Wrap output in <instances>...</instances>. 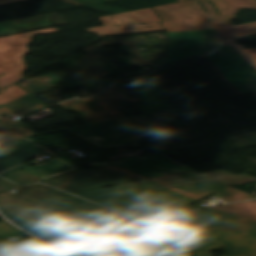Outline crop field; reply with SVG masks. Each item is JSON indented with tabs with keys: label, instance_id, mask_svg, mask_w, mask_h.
Returning a JSON list of instances; mask_svg holds the SVG:
<instances>
[{
	"label": "crop field",
	"instance_id": "obj_12",
	"mask_svg": "<svg viewBox=\"0 0 256 256\" xmlns=\"http://www.w3.org/2000/svg\"><path fill=\"white\" fill-rule=\"evenodd\" d=\"M121 90L120 87H113L102 93L97 99L103 106L105 111L86 114L87 123H95L123 117L121 112H116L115 109L121 108L117 102L126 101L127 103L142 102L140 98L129 99L125 94L120 95L116 91Z\"/></svg>",
	"mask_w": 256,
	"mask_h": 256
},
{
	"label": "crop field",
	"instance_id": "obj_13",
	"mask_svg": "<svg viewBox=\"0 0 256 256\" xmlns=\"http://www.w3.org/2000/svg\"><path fill=\"white\" fill-rule=\"evenodd\" d=\"M74 169L77 168L58 156L54 159L47 160L41 164L34 165L25 170L33 173L42 180H45L72 171Z\"/></svg>",
	"mask_w": 256,
	"mask_h": 256
},
{
	"label": "crop field",
	"instance_id": "obj_1",
	"mask_svg": "<svg viewBox=\"0 0 256 256\" xmlns=\"http://www.w3.org/2000/svg\"><path fill=\"white\" fill-rule=\"evenodd\" d=\"M0 210L12 222L43 240L109 229L141 221L41 184L0 194Z\"/></svg>",
	"mask_w": 256,
	"mask_h": 256
},
{
	"label": "crop field",
	"instance_id": "obj_2",
	"mask_svg": "<svg viewBox=\"0 0 256 256\" xmlns=\"http://www.w3.org/2000/svg\"><path fill=\"white\" fill-rule=\"evenodd\" d=\"M177 229L155 234L192 239L196 256H211L212 248L227 247L226 256H256V201L198 210L153 220Z\"/></svg>",
	"mask_w": 256,
	"mask_h": 256
},
{
	"label": "crop field",
	"instance_id": "obj_14",
	"mask_svg": "<svg viewBox=\"0 0 256 256\" xmlns=\"http://www.w3.org/2000/svg\"><path fill=\"white\" fill-rule=\"evenodd\" d=\"M49 14L0 23V35L49 26Z\"/></svg>",
	"mask_w": 256,
	"mask_h": 256
},
{
	"label": "crop field",
	"instance_id": "obj_20",
	"mask_svg": "<svg viewBox=\"0 0 256 256\" xmlns=\"http://www.w3.org/2000/svg\"><path fill=\"white\" fill-rule=\"evenodd\" d=\"M49 77L44 76L42 78H36L33 80H28L20 84L24 89L30 92L32 95H39L54 86L48 83Z\"/></svg>",
	"mask_w": 256,
	"mask_h": 256
},
{
	"label": "crop field",
	"instance_id": "obj_6",
	"mask_svg": "<svg viewBox=\"0 0 256 256\" xmlns=\"http://www.w3.org/2000/svg\"><path fill=\"white\" fill-rule=\"evenodd\" d=\"M168 35L174 44L169 49V58L159 61L162 67L178 60L206 54L224 42L223 37L215 29L168 33ZM133 65L150 64L147 62Z\"/></svg>",
	"mask_w": 256,
	"mask_h": 256
},
{
	"label": "crop field",
	"instance_id": "obj_3",
	"mask_svg": "<svg viewBox=\"0 0 256 256\" xmlns=\"http://www.w3.org/2000/svg\"><path fill=\"white\" fill-rule=\"evenodd\" d=\"M213 193L233 201L256 198L232 187L211 181L98 203L137 218H152L196 209L190 204Z\"/></svg>",
	"mask_w": 256,
	"mask_h": 256
},
{
	"label": "crop field",
	"instance_id": "obj_23",
	"mask_svg": "<svg viewBox=\"0 0 256 256\" xmlns=\"http://www.w3.org/2000/svg\"><path fill=\"white\" fill-rule=\"evenodd\" d=\"M95 101L94 99H87V100H77V101H70L63 105H61L63 108L66 109V111L69 112H78L80 114L85 112L94 111L92 108H90L86 103Z\"/></svg>",
	"mask_w": 256,
	"mask_h": 256
},
{
	"label": "crop field",
	"instance_id": "obj_7",
	"mask_svg": "<svg viewBox=\"0 0 256 256\" xmlns=\"http://www.w3.org/2000/svg\"><path fill=\"white\" fill-rule=\"evenodd\" d=\"M207 57L242 94L256 91V70L228 42Z\"/></svg>",
	"mask_w": 256,
	"mask_h": 256
},
{
	"label": "crop field",
	"instance_id": "obj_33",
	"mask_svg": "<svg viewBox=\"0 0 256 256\" xmlns=\"http://www.w3.org/2000/svg\"><path fill=\"white\" fill-rule=\"evenodd\" d=\"M105 1L107 2V1H110V0H105Z\"/></svg>",
	"mask_w": 256,
	"mask_h": 256
},
{
	"label": "crop field",
	"instance_id": "obj_28",
	"mask_svg": "<svg viewBox=\"0 0 256 256\" xmlns=\"http://www.w3.org/2000/svg\"><path fill=\"white\" fill-rule=\"evenodd\" d=\"M17 187H19V186L0 178V191L1 190H11V189H15Z\"/></svg>",
	"mask_w": 256,
	"mask_h": 256
},
{
	"label": "crop field",
	"instance_id": "obj_8",
	"mask_svg": "<svg viewBox=\"0 0 256 256\" xmlns=\"http://www.w3.org/2000/svg\"><path fill=\"white\" fill-rule=\"evenodd\" d=\"M146 41L147 39L145 36L102 39L103 45H92L81 50L89 54L81 58V61L86 69L87 75H93L97 92H99L102 88L101 82L99 81L100 78L109 73L101 46L122 44L124 54L129 56L130 63H138L145 61L142 59V54L137 46V43Z\"/></svg>",
	"mask_w": 256,
	"mask_h": 256
},
{
	"label": "crop field",
	"instance_id": "obj_11",
	"mask_svg": "<svg viewBox=\"0 0 256 256\" xmlns=\"http://www.w3.org/2000/svg\"><path fill=\"white\" fill-rule=\"evenodd\" d=\"M135 80L140 98L144 103V105L139 106L143 114L173 107L160 96L155 84L161 83V81L155 73L136 78Z\"/></svg>",
	"mask_w": 256,
	"mask_h": 256
},
{
	"label": "crop field",
	"instance_id": "obj_17",
	"mask_svg": "<svg viewBox=\"0 0 256 256\" xmlns=\"http://www.w3.org/2000/svg\"><path fill=\"white\" fill-rule=\"evenodd\" d=\"M42 153L47 154L52 158L57 156L56 154L48 151V149L34 144L5 160L3 159L4 161L0 162V172L6 171L19 164H22Z\"/></svg>",
	"mask_w": 256,
	"mask_h": 256
},
{
	"label": "crop field",
	"instance_id": "obj_4",
	"mask_svg": "<svg viewBox=\"0 0 256 256\" xmlns=\"http://www.w3.org/2000/svg\"><path fill=\"white\" fill-rule=\"evenodd\" d=\"M180 113L179 109L155 111L70 130L99 147L140 145L144 137L163 132Z\"/></svg>",
	"mask_w": 256,
	"mask_h": 256
},
{
	"label": "crop field",
	"instance_id": "obj_16",
	"mask_svg": "<svg viewBox=\"0 0 256 256\" xmlns=\"http://www.w3.org/2000/svg\"><path fill=\"white\" fill-rule=\"evenodd\" d=\"M105 237L102 235H80L73 240L54 242L53 244L86 256L88 252L100 245Z\"/></svg>",
	"mask_w": 256,
	"mask_h": 256
},
{
	"label": "crop field",
	"instance_id": "obj_22",
	"mask_svg": "<svg viewBox=\"0 0 256 256\" xmlns=\"http://www.w3.org/2000/svg\"><path fill=\"white\" fill-rule=\"evenodd\" d=\"M33 143L27 139H19L7 143L0 144V157L3 158L29 144Z\"/></svg>",
	"mask_w": 256,
	"mask_h": 256
},
{
	"label": "crop field",
	"instance_id": "obj_25",
	"mask_svg": "<svg viewBox=\"0 0 256 256\" xmlns=\"http://www.w3.org/2000/svg\"><path fill=\"white\" fill-rule=\"evenodd\" d=\"M111 228L132 236L144 233L135 223L115 226Z\"/></svg>",
	"mask_w": 256,
	"mask_h": 256
},
{
	"label": "crop field",
	"instance_id": "obj_26",
	"mask_svg": "<svg viewBox=\"0 0 256 256\" xmlns=\"http://www.w3.org/2000/svg\"><path fill=\"white\" fill-rule=\"evenodd\" d=\"M6 255H26V252H24L17 246L0 248V256Z\"/></svg>",
	"mask_w": 256,
	"mask_h": 256
},
{
	"label": "crop field",
	"instance_id": "obj_24",
	"mask_svg": "<svg viewBox=\"0 0 256 256\" xmlns=\"http://www.w3.org/2000/svg\"><path fill=\"white\" fill-rule=\"evenodd\" d=\"M33 249L35 251H38L39 254H43V255H56V256H73V255H69V254H66L60 250H57V249H53L47 245H43V244H40V243H31L30 244Z\"/></svg>",
	"mask_w": 256,
	"mask_h": 256
},
{
	"label": "crop field",
	"instance_id": "obj_10",
	"mask_svg": "<svg viewBox=\"0 0 256 256\" xmlns=\"http://www.w3.org/2000/svg\"><path fill=\"white\" fill-rule=\"evenodd\" d=\"M190 240L186 237L149 236L116 254L120 256H190Z\"/></svg>",
	"mask_w": 256,
	"mask_h": 256
},
{
	"label": "crop field",
	"instance_id": "obj_19",
	"mask_svg": "<svg viewBox=\"0 0 256 256\" xmlns=\"http://www.w3.org/2000/svg\"><path fill=\"white\" fill-rule=\"evenodd\" d=\"M147 236H149V234H144L136 237L110 236V237H107L99 247L107 249L109 253L112 254Z\"/></svg>",
	"mask_w": 256,
	"mask_h": 256
},
{
	"label": "crop field",
	"instance_id": "obj_9",
	"mask_svg": "<svg viewBox=\"0 0 256 256\" xmlns=\"http://www.w3.org/2000/svg\"><path fill=\"white\" fill-rule=\"evenodd\" d=\"M88 165L92 169L115 165L149 178L191 170L160 154H150L112 162H95Z\"/></svg>",
	"mask_w": 256,
	"mask_h": 256
},
{
	"label": "crop field",
	"instance_id": "obj_5",
	"mask_svg": "<svg viewBox=\"0 0 256 256\" xmlns=\"http://www.w3.org/2000/svg\"><path fill=\"white\" fill-rule=\"evenodd\" d=\"M142 179L148 178L111 166L90 171L82 168L43 183L75 193Z\"/></svg>",
	"mask_w": 256,
	"mask_h": 256
},
{
	"label": "crop field",
	"instance_id": "obj_21",
	"mask_svg": "<svg viewBox=\"0 0 256 256\" xmlns=\"http://www.w3.org/2000/svg\"><path fill=\"white\" fill-rule=\"evenodd\" d=\"M75 194L80 197L87 198L93 202L120 196L113 188H104V189L75 193Z\"/></svg>",
	"mask_w": 256,
	"mask_h": 256
},
{
	"label": "crop field",
	"instance_id": "obj_27",
	"mask_svg": "<svg viewBox=\"0 0 256 256\" xmlns=\"http://www.w3.org/2000/svg\"><path fill=\"white\" fill-rule=\"evenodd\" d=\"M22 233L13 227L9 226L5 222H0V235L18 234Z\"/></svg>",
	"mask_w": 256,
	"mask_h": 256
},
{
	"label": "crop field",
	"instance_id": "obj_30",
	"mask_svg": "<svg viewBox=\"0 0 256 256\" xmlns=\"http://www.w3.org/2000/svg\"><path fill=\"white\" fill-rule=\"evenodd\" d=\"M37 180H40V179L31 174V175H29L25 178H22L20 180L15 181V182H17L21 185H24V184H27V183H30V182H33V181H37Z\"/></svg>",
	"mask_w": 256,
	"mask_h": 256
},
{
	"label": "crop field",
	"instance_id": "obj_15",
	"mask_svg": "<svg viewBox=\"0 0 256 256\" xmlns=\"http://www.w3.org/2000/svg\"><path fill=\"white\" fill-rule=\"evenodd\" d=\"M44 108L46 106L29 94L8 104L1 105L0 116L5 114L28 115Z\"/></svg>",
	"mask_w": 256,
	"mask_h": 256
},
{
	"label": "crop field",
	"instance_id": "obj_32",
	"mask_svg": "<svg viewBox=\"0 0 256 256\" xmlns=\"http://www.w3.org/2000/svg\"><path fill=\"white\" fill-rule=\"evenodd\" d=\"M78 236V235H77ZM76 236H71V237H65V238H60V239H54V240H47V242H54V241H66L74 238Z\"/></svg>",
	"mask_w": 256,
	"mask_h": 256
},
{
	"label": "crop field",
	"instance_id": "obj_18",
	"mask_svg": "<svg viewBox=\"0 0 256 256\" xmlns=\"http://www.w3.org/2000/svg\"><path fill=\"white\" fill-rule=\"evenodd\" d=\"M0 120V142L34 135L21 121H12V117Z\"/></svg>",
	"mask_w": 256,
	"mask_h": 256
},
{
	"label": "crop field",
	"instance_id": "obj_29",
	"mask_svg": "<svg viewBox=\"0 0 256 256\" xmlns=\"http://www.w3.org/2000/svg\"><path fill=\"white\" fill-rule=\"evenodd\" d=\"M28 174H30V173H28L25 170H21V171H18L16 173H13V174H10L8 176H5V177L10 179V180H12V181H15V180L20 179V178H22V177H24V176H26Z\"/></svg>",
	"mask_w": 256,
	"mask_h": 256
},
{
	"label": "crop field",
	"instance_id": "obj_31",
	"mask_svg": "<svg viewBox=\"0 0 256 256\" xmlns=\"http://www.w3.org/2000/svg\"><path fill=\"white\" fill-rule=\"evenodd\" d=\"M28 166H30V165L24 164V165H22V166H20V167H17V168H15V169L9 170V171H7V172H5V173H3V174H0V175L5 176V175H8V174H10V173L16 172V171H18V170L24 169V168H26V167H28Z\"/></svg>",
	"mask_w": 256,
	"mask_h": 256
}]
</instances>
